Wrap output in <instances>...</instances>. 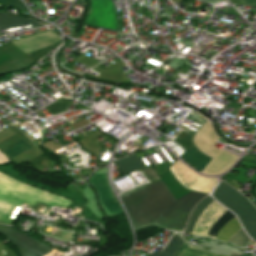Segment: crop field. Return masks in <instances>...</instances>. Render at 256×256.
<instances>
[{"instance_id":"obj_4","label":"crop field","mask_w":256,"mask_h":256,"mask_svg":"<svg viewBox=\"0 0 256 256\" xmlns=\"http://www.w3.org/2000/svg\"><path fill=\"white\" fill-rule=\"evenodd\" d=\"M213 196L238 215L247 233L256 240V209L248 199L223 182L220 183Z\"/></svg>"},{"instance_id":"obj_6","label":"crop field","mask_w":256,"mask_h":256,"mask_svg":"<svg viewBox=\"0 0 256 256\" xmlns=\"http://www.w3.org/2000/svg\"><path fill=\"white\" fill-rule=\"evenodd\" d=\"M175 177L188 189L209 194L217 184L216 178L199 176L178 160L169 168Z\"/></svg>"},{"instance_id":"obj_2","label":"crop field","mask_w":256,"mask_h":256,"mask_svg":"<svg viewBox=\"0 0 256 256\" xmlns=\"http://www.w3.org/2000/svg\"><path fill=\"white\" fill-rule=\"evenodd\" d=\"M22 202L33 206L37 202L64 207H69L71 204L67 199L29 187L0 173V223H4L15 207H20Z\"/></svg>"},{"instance_id":"obj_19","label":"crop field","mask_w":256,"mask_h":256,"mask_svg":"<svg viewBox=\"0 0 256 256\" xmlns=\"http://www.w3.org/2000/svg\"><path fill=\"white\" fill-rule=\"evenodd\" d=\"M31 149L26 143H24L23 141L20 142L19 144L13 146L12 148H10L9 150H7L6 152H4L5 154H7L9 157L13 158L27 150Z\"/></svg>"},{"instance_id":"obj_9","label":"crop field","mask_w":256,"mask_h":256,"mask_svg":"<svg viewBox=\"0 0 256 256\" xmlns=\"http://www.w3.org/2000/svg\"><path fill=\"white\" fill-rule=\"evenodd\" d=\"M59 40L60 38L52 31H46L30 37L13 40L11 42L22 52L27 54L39 50L45 46L51 45Z\"/></svg>"},{"instance_id":"obj_15","label":"crop field","mask_w":256,"mask_h":256,"mask_svg":"<svg viewBox=\"0 0 256 256\" xmlns=\"http://www.w3.org/2000/svg\"><path fill=\"white\" fill-rule=\"evenodd\" d=\"M183 241L176 235H173L168 245L163 252L150 254V256H174L180 247L183 245Z\"/></svg>"},{"instance_id":"obj_11","label":"crop field","mask_w":256,"mask_h":256,"mask_svg":"<svg viewBox=\"0 0 256 256\" xmlns=\"http://www.w3.org/2000/svg\"><path fill=\"white\" fill-rule=\"evenodd\" d=\"M180 158L200 172L211 160L210 157L202 154L197 147L186 151Z\"/></svg>"},{"instance_id":"obj_16","label":"crop field","mask_w":256,"mask_h":256,"mask_svg":"<svg viewBox=\"0 0 256 256\" xmlns=\"http://www.w3.org/2000/svg\"><path fill=\"white\" fill-rule=\"evenodd\" d=\"M213 199L208 196L206 197L204 200H202L195 208L192 216H191V219H190V222L188 224V228L187 230L185 231L186 233H191L192 232V229H193V226L195 224V222L197 221V219L199 218V216L201 215V213L204 211V209L210 204V202L212 201Z\"/></svg>"},{"instance_id":"obj_7","label":"crop field","mask_w":256,"mask_h":256,"mask_svg":"<svg viewBox=\"0 0 256 256\" xmlns=\"http://www.w3.org/2000/svg\"><path fill=\"white\" fill-rule=\"evenodd\" d=\"M117 19L110 0H93L89 24L116 29Z\"/></svg>"},{"instance_id":"obj_21","label":"crop field","mask_w":256,"mask_h":256,"mask_svg":"<svg viewBox=\"0 0 256 256\" xmlns=\"http://www.w3.org/2000/svg\"><path fill=\"white\" fill-rule=\"evenodd\" d=\"M244 5H254L256 6V0H242Z\"/></svg>"},{"instance_id":"obj_8","label":"crop field","mask_w":256,"mask_h":256,"mask_svg":"<svg viewBox=\"0 0 256 256\" xmlns=\"http://www.w3.org/2000/svg\"><path fill=\"white\" fill-rule=\"evenodd\" d=\"M91 182L98 190L103 206L111 215L124 212L108 183L107 174L95 175Z\"/></svg>"},{"instance_id":"obj_12","label":"crop field","mask_w":256,"mask_h":256,"mask_svg":"<svg viewBox=\"0 0 256 256\" xmlns=\"http://www.w3.org/2000/svg\"><path fill=\"white\" fill-rule=\"evenodd\" d=\"M33 23H37V22L31 19L22 18L13 13L0 14V29H7V28H12L17 26L33 24Z\"/></svg>"},{"instance_id":"obj_13","label":"crop field","mask_w":256,"mask_h":256,"mask_svg":"<svg viewBox=\"0 0 256 256\" xmlns=\"http://www.w3.org/2000/svg\"><path fill=\"white\" fill-rule=\"evenodd\" d=\"M114 163L119 168V170L124 173V175L144 167L139 158L135 154L129 155L125 158L118 159L114 161Z\"/></svg>"},{"instance_id":"obj_17","label":"crop field","mask_w":256,"mask_h":256,"mask_svg":"<svg viewBox=\"0 0 256 256\" xmlns=\"http://www.w3.org/2000/svg\"><path fill=\"white\" fill-rule=\"evenodd\" d=\"M233 217H235L234 215H232L230 212H226L209 230L208 232V237L211 238H216L219 230L221 229V227L226 224L229 220H231Z\"/></svg>"},{"instance_id":"obj_1","label":"crop field","mask_w":256,"mask_h":256,"mask_svg":"<svg viewBox=\"0 0 256 256\" xmlns=\"http://www.w3.org/2000/svg\"><path fill=\"white\" fill-rule=\"evenodd\" d=\"M206 195L191 191L176 202L160 181L120 197L131 214L136 231L154 225L172 231H182L191 211Z\"/></svg>"},{"instance_id":"obj_18","label":"crop field","mask_w":256,"mask_h":256,"mask_svg":"<svg viewBox=\"0 0 256 256\" xmlns=\"http://www.w3.org/2000/svg\"><path fill=\"white\" fill-rule=\"evenodd\" d=\"M178 256H223V255L210 254V253L197 250L195 248L185 245L183 250L180 252Z\"/></svg>"},{"instance_id":"obj_14","label":"crop field","mask_w":256,"mask_h":256,"mask_svg":"<svg viewBox=\"0 0 256 256\" xmlns=\"http://www.w3.org/2000/svg\"><path fill=\"white\" fill-rule=\"evenodd\" d=\"M241 228L236 217L233 218L230 222H228L225 226L220 230L217 239L226 241L228 240Z\"/></svg>"},{"instance_id":"obj_5","label":"crop field","mask_w":256,"mask_h":256,"mask_svg":"<svg viewBox=\"0 0 256 256\" xmlns=\"http://www.w3.org/2000/svg\"><path fill=\"white\" fill-rule=\"evenodd\" d=\"M0 234L4 235L7 240L18 246L21 256H45L53 248L43 245L37 240L23 235L22 233L5 226L0 225Z\"/></svg>"},{"instance_id":"obj_10","label":"crop field","mask_w":256,"mask_h":256,"mask_svg":"<svg viewBox=\"0 0 256 256\" xmlns=\"http://www.w3.org/2000/svg\"><path fill=\"white\" fill-rule=\"evenodd\" d=\"M226 210L217 202H212L198 219L192 234L206 236L210 227L224 214Z\"/></svg>"},{"instance_id":"obj_20","label":"crop field","mask_w":256,"mask_h":256,"mask_svg":"<svg viewBox=\"0 0 256 256\" xmlns=\"http://www.w3.org/2000/svg\"><path fill=\"white\" fill-rule=\"evenodd\" d=\"M10 4H13L15 7L20 8L22 11L27 10L25 5L20 0H1Z\"/></svg>"},{"instance_id":"obj_23","label":"crop field","mask_w":256,"mask_h":256,"mask_svg":"<svg viewBox=\"0 0 256 256\" xmlns=\"http://www.w3.org/2000/svg\"><path fill=\"white\" fill-rule=\"evenodd\" d=\"M253 204L256 206V201H253Z\"/></svg>"},{"instance_id":"obj_22","label":"crop field","mask_w":256,"mask_h":256,"mask_svg":"<svg viewBox=\"0 0 256 256\" xmlns=\"http://www.w3.org/2000/svg\"><path fill=\"white\" fill-rule=\"evenodd\" d=\"M243 159L256 163V157L253 156H245Z\"/></svg>"},{"instance_id":"obj_3","label":"crop field","mask_w":256,"mask_h":256,"mask_svg":"<svg viewBox=\"0 0 256 256\" xmlns=\"http://www.w3.org/2000/svg\"><path fill=\"white\" fill-rule=\"evenodd\" d=\"M219 139L214 133L209 122H205L193 139V143L200 151L211 158V162L206 166L202 173L207 175H219L226 171L238 157L214 147L213 142Z\"/></svg>"},{"instance_id":"obj_24","label":"crop field","mask_w":256,"mask_h":256,"mask_svg":"<svg viewBox=\"0 0 256 256\" xmlns=\"http://www.w3.org/2000/svg\"><path fill=\"white\" fill-rule=\"evenodd\" d=\"M231 256H233V255H231Z\"/></svg>"}]
</instances>
